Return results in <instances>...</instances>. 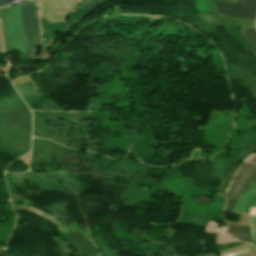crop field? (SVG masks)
<instances>
[{
    "label": "crop field",
    "mask_w": 256,
    "mask_h": 256,
    "mask_svg": "<svg viewBox=\"0 0 256 256\" xmlns=\"http://www.w3.org/2000/svg\"><path fill=\"white\" fill-rule=\"evenodd\" d=\"M249 219H250L251 237L256 249V232L254 228V216H249Z\"/></svg>",
    "instance_id": "9"
},
{
    "label": "crop field",
    "mask_w": 256,
    "mask_h": 256,
    "mask_svg": "<svg viewBox=\"0 0 256 256\" xmlns=\"http://www.w3.org/2000/svg\"><path fill=\"white\" fill-rule=\"evenodd\" d=\"M0 53H2V51H1V47H0Z\"/></svg>",
    "instance_id": "17"
},
{
    "label": "crop field",
    "mask_w": 256,
    "mask_h": 256,
    "mask_svg": "<svg viewBox=\"0 0 256 256\" xmlns=\"http://www.w3.org/2000/svg\"><path fill=\"white\" fill-rule=\"evenodd\" d=\"M26 49L36 52V45H42L34 1L19 4Z\"/></svg>",
    "instance_id": "1"
},
{
    "label": "crop field",
    "mask_w": 256,
    "mask_h": 256,
    "mask_svg": "<svg viewBox=\"0 0 256 256\" xmlns=\"http://www.w3.org/2000/svg\"><path fill=\"white\" fill-rule=\"evenodd\" d=\"M3 11L9 51L18 49L19 51L26 53L18 4L11 8H3Z\"/></svg>",
    "instance_id": "3"
},
{
    "label": "crop field",
    "mask_w": 256,
    "mask_h": 256,
    "mask_svg": "<svg viewBox=\"0 0 256 256\" xmlns=\"http://www.w3.org/2000/svg\"><path fill=\"white\" fill-rule=\"evenodd\" d=\"M216 8L227 17L249 18L256 17V0H239L238 4L214 3Z\"/></svg>",
    "instance_id": "4"
},
{
    "label": "crop field",
    "mask_w": 256,
    "mask_h": 256,
    "mask_svg": "<svg viewBox=\"0 0 256 256\" xmlns=\"http://www.w3.org/2000/svg\"><path fill=\"white\" fill-rule=\"evenodd\" d=\"M251 52L256 56V49L251 50Z\"/></svg>",
    "instance_id": "15"
},
{
    "label": "crop field",
    "mask_w": 256,
    "mask_h": 256,
    "mask_svg": "<svg viewBox=\"0 0 256 256\" xmlns=\"http://www.w3.org/2000/svg\"><path fill=\"white\" fill-rule=\"evenodd\" d=\"M231 236L241 242H251L250 236H246V235H231Z\"/></svg>",
    "instance_id": "10"
},
{
    "label": "crop field",
    "mask_w": 256,
    "mask_h": 256,
    "mask_svg": "<svg viewBox=\"0 0 256 256\" xmlns=\"http://www.w3.org/2000/svg\"><path fill=\"white\" fill-rule=\"evenodd\" d=\"M256 174V166L250 163L243 164L236 171L226 193L223 213H231L238 195L248 187L252 177ZM254 178V177H253Z\"/></svg>",
    "instance_id": "2"
},
{
    "label": "crop field",
    "mask_w": 256,
    "mask_h": 256,
    "mask_svg": "<svg viewBox=\"0 0 256 256\" xmlns=\"http://www.w3.org/2000/svg\"><path fill=\"white\" fill-rule=\"evenodd\" d=\"M65 8L73 7L74 0H61Z\"/></svg>",
    "instance_id": "11"
},
{
    "label": "crop field",
    "mask_w": 256,
    "mask_h": 256,
    "mask_svg": "<svg viewBox=\"0 0 256 256\" xmlns=\"http://www.w3.org/2000/svg\"><path fill=\"white\" fill-rule=\"evenodd\" d=\"M200 256H216V254L213 253V254H209V255H200Z\"/></svg>",
    "instance_id": "14"
},
{
    "label": "crop field",
    "mask_w": 256,
    "mask_h": 256,
    "mask_svg": "<svg viewBox=\"0 0 256 256\" xmlns=\"http://www.w3.org/2000/svg\"><path fill=\"white\" fill-rule=\"evenodd\" d=\"M12 1H14V0H0V6H1V5H5V4H9V3H11Z\"/></svg>",
    "instance_id": "13"
},
{
    "label": "crop field",
    "mask_w": 256,
    "mask_h": 256,
    "mask_svg": "<svg viewBox=\"0 0 256 256\" xmlns=\"http://www.w3.org/2000/svg\"><path fill=\"white\" fill-rule=\"evenodd\" d=\"M255 251L253 247H249V248H245V249H241L235 252H231V253H226V254H221L219 256H240L246 253H250Z\"/></svg>",
    "instance_id": "8"
},
{
    "label": "crop field",
    "mask_w": 256,
    "mask_h": 256,
    "mask_svg": "<svg viewBox=\"0 0 256 256\" xmlns=\"http://www.w3.org/2000/svg\"><path fill=\"white\" fill-rule=\"evenodd\" d=\"M109 0H80V8L81 10L74 14L72 17L69 18L68 21H64L63 26L65 28L69 27L70 25L78 22L84 16H86L90 11L98 7L100 4L107 2Z\"/></svg>",
    "instance_id": "6"
},
{
    "label": "crop field",
    "mask_w": 256,
    "mask_h": 256,
    "mask_svg": "<svg viewBox=\"0 0 256 256\" xmlns=\"http://www.w3.org/2000/svg\"><path fill=\"white\" fill-rule=\"evenodd\" d=\"M255 227H256V217H255Z\"/></svg>",
    "instance_id": "16"
},
{
    "label": "crop field",
    "mask_w": 256,
    "mask_h": 256,
    "mask_svg": "<svg viewBox=\"0 0 256 256\" xmlns=\"http://www.w3.org/2000/svg\"><path fill=\"white\" fill-rule=\"evenodd\" d=\"M245 161L256 164V155H251Z\"/></svg>",
    "instance_id": "12"
},
{
    "label": "crop field",
    "mask_w": 256,
    "mask_h": 256,
    "mask_svg": "<svg viewBox=\"0 0 256 256\" xmlns=\"http://www.w3.org/2000/svg\"><path fill=\"white\" fill-rule=\"evenodd\" d=\"M243 36L249 42L251 48L256 47V29L255 27L242 31Z\"/></svg>",
    "instance_id": "7"
},
{
    "label": "crop field",
    "mask_w": 256,
    "mask_h": 256,
    "mask_svg": "<svg viewBox=\"0 0 256 256\" xmlns=\"http://www.w3.org/2000/svg\"><path fill=\"white\" fill-rule=\"evenodd\" d=\"M250 207H256V185L251 184L239 196L233 213L248 214Z\"/></svg>",
    "instance_id": "5"
}]
</instances>
